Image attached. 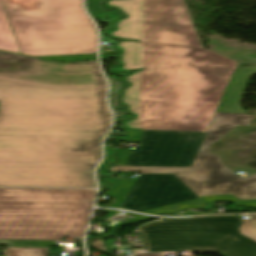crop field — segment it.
I'll list each match as a JSON object with an SVG mask.
<instances>
[{"instance_id": "obj_1", "label": "crop field", "mask_w": 256, "mask_h": 256, "mask_svg": "<svg viewBox=\"0 0 256 256\" xmlns=\"http://www.w3.org/2000/svg\"><path fill=\"white\" fill-rule=\"evenodd\" d=\"M105 91L97 61L0 52V154L101 155Z\"/></svg>"}, {"instance_id": "obj_2", "label": "crop field", "mask_w": 256, "mask_h": 256, "mask_svg": "<svg viewBox=\"0 0 256 256\" xmlns=\"http://www.w3.org/2000/svg\"><path fill=\"white\" fill-rule=\"evenodd\" d=\"M139 127L206 131L237 62L202 48L183 0H142Z\"/></svg>"}, {"instance_id": "obj_3", "label": "crop field", "mask_w": 256, "mask_h": 256, "mask_svg": "<svg viewBox=\"0 0 256 256\" xmlns=\"http://www.w3.org/2000/svg\"><path fill=\"white\" fill-rule=\"evenodd\" d=\"M95 190L0 189V239L83 236Z\"/></svg>"}, {"instance_id": "obj_4", "label": "crop field", "mask_w": 256, "mask_h": 256, "mask_svg": "<svg viewBox=\"0 0 256 256\" xmlns=\"http://www.w3.org/2000/svg\"><path fill=\"white\" fill-rule=\"evenodd\" d=\"M1 1L22 54L96 53V30L81 0H42L33 12H22L16 0Z\"/></svg>"}, {"instance_id": "obj_5", "label": "crop field", "mask_w": 256, "mask_h": 256, "mask_svg": "<svg viewBox=\"0 0 256 256\" xmlns=\"http://www.w3.org/2000/svg\"><path fill=\"white\" fill-rule=\"evenodd\" d=\"M138 232L146 251H219L225 256H256V216L165 219Z\"/></svg>"}, {"instance_id": "obj_6", "label": "crop field", "mask_w": 256, "mask_h": 256, "mask_svg": "<svg viewBox=\"0 0 256 256\" xmlns=\"http://www.w3.org/2000/svg\"><path fill=\"white\" fill-rule=\"evenodd\" d=\"M255 115L217 112L191 167L117 166L104 171H141L174 174L197 196L232 194L240 199L256 198V174L239 178L219 156L209 152L212 143L236 125L249 126Z\"/></svg>"}, {"instance_id": "obj_7", "label": "crop field", "mask_w": 256, "mask_h": 256, "mask_svg": "<svg viewBox=\"0 0 256 256\" xmlns=\"http://www.w3.org/2000/svg\"><path fill=\"white\" fill-rule=\"evenodd\" d=\"M100 157L0 155V187L92 188L90 173Z\"/></svg>"}, {"instance_id": "obj_8", "label": "crop field", "mask_w": 256, "mask_h": 256, "mask_svg": "<svg viewBox=\"0 0 256 256\" xmlns=\"http://www.w3.org/2000/svg\"><path fill=\"white\" fill-rule=\"evenodd\" d=\"M205 134L150 131L134 165L190 166Z\"/></svg>"}, {"instance_id": "obj_9", "label": "crop field", "mask_w": 256, "mask_h": 256, "mask_svg": "<svg viewBox=\"0 0 256 256\" xmlns=\"http://www.w3.org/2000/svg\"><path fill=\"white\" fill-rule=\"evenodd\" d=\"M197 196L174 175L140 174L122 209L141 212Z\"/></svg>"}, {"instance_id": "obj_10", "label": "crop field", "mask_w": 256, "mask_h": 256, "mask_svg": "<svg viewBox=\"0 0 256 256\" xmlns=\"http://www.w3.org/2000/svg\"><path fill=\"white\" fill-rule=\"evenodd\" d=\"M115 47L123 50V52L120 53V60L124 65L119 69H140L141 42L120 41ZM139 73L140 71L124 79V81L131 83V86L124 90L121 103L128 105V111L136 115L133 120L122 121V123L126 125V129H137L138 127Z\"/></svg>"}, {"instance_id": "obj_11", "label": "crop field", "mask_w": 256, "mask_h": 256, "mask_svg": "<svg viewBox=\"0 0 256 256\" xmlns=\"http://www.w3.org/2000/svg\"><path fill=\"white\" fill-rule=\"evenodd\" d=\"M104 6H115L128 16L116 24L118 30L107 32L113 38L139 41L141 0H110Z\"/></svg>"}, {"instance_id": "obj_12", "label": "crop field", "mask_w": 256, "mask_h": 256, "mask_svg": "<svg viewBox=\"0 0 256 256\" xmlns=\"http://www.w3.org/2000/svg\"><path fill=\"white\" fill-rule=\"evenodd\" d=\"M253 74H256V67L235 72L217 111L245 113L239 100L250 76Z\"/></svg>"}, {"instance_id": "obj_13", "label": "crop field", "mask_w": 256, "mask_h": 256, "mask_svg": "<svg viewBox=\"0 0 256 256\" xmlns=\"http://www.w3.org/2000/svg\"><path fill=\"white\" fill-rule=\"evenodd\" d=\"M126 131L129 132L127 135L128 140L126 142H139L138 150L116 149V156L118 157L117 160H119V162L112 165H133L143 144V141L148 133V131L143 130Z\"/></svg>"}, {"instance_id": "obj_14", "label": "crop field", "mask_w": 256, "mask_h": 256, "mask_svg": "<svg viewBox=\"0 0 256 256\" xmlns=\"http://www.w3.org/2000/svg\"><path fill=\"white\" fill-rule=\"evenodd\" d=\"M0 50L21 54L0 1Z\"/></svg>"}, {"instance_id": "obj_15", "label": "crop field", "mask_w": 256, "mask_h": 256, "mask_svg": "<svg viewBox=\"0 0 256 256\" xmlns=\"http://www.w3.org/2000/svg\"><path fill=\"white\" fill-rule=\"evenodd\" d=\"M203 204H205V202L202 201L200 198H197V199H193V200H189V201H185V202H181V203L145 211L143 213L159 214L161 212H173L176 210L185 209L187 207L199 208V207H202Z\"/></svg>"}, {"instance_id": "obj_16", "label": "crop field", "mask_w": 256, "mask_h": 256, "mask_svg": "<svg viewBox=\"0 0 256 256\" xmlns=\"http://www.w3.org/2000/svg\"><path fill=\"white\" fill-rule=\"evenodd\" d=\"M133 183L134 181H129V180H115V182L109 187L107 192L111 193L112 195L118 198V201L115 207L117 208L120 207L126 194L130 191L129 187L132 186Z\"/></svg>"}, {"instance_id": "obj_17", "label": "crop field", "mask_w": 256, "mask_h": 256, "mask_svg": "<svg viewBox=\"0 0 256 256\" xmlns=\"http://www.w3.org/2000/svg\"><path fill=\"white\" fill-rule=\"evenodd\" d=\"M102 0H86V9L89 12V14L96 20H103L100 18V15L103 13H109L111 14V17L113 19L119 17V13L116 10H112V12H106L99 8L98 3Z\"/></svg>"}, {"instance_id": "obj_18", "label": "crop field", "mask_w": 256, "mask_h": 256, "mask_svg": "<svg viewBox=\"0 0 256 256\" xmlns=\"http://www.w3.org/2000/svg\"><path fill=\"white\" fill-rule=\"evenodd\" d=\"M7 252L9 256H47V249L39 248H10Z\"/></svg>"}, {"instance_id": "obj_19", "label": "crop field", "mask_w": 256, "mask_h": 256, "mask_svg": "<svg viewBox=\"0 0 256 256\" xmlns=\"http://www.w3.org/2000/svg\"><path fill=\"white\" fill-rule=\"evenodd\" d=\"M206 203L220 201V200H232L235 205H251L256 206V199L251 200H239L232 195H222V196H206L200 197Z\"/></svg>"}, {"instance_id": "obj_20", "label": "crop field", "mask_w": 256, "mask_h": 256, "mask_svg": "<svg viewBox=\"0 0 256 256\" xmlns=\"http://www.w3.org/2000/svg\"><path fill=\"white\" fill-rule=\"evenodd\" d=\"M42 59L53 60L58 62H72V61H89L97 60L96 55H82V56H53V57H39Z\"/></svg>"}, {"instance_id": "obj_21", "label": "crop field", "mask_w": 256, "mask_h": 256, "mask_svg": "<svg viewBox=\"0 0 256 256\" xmlns=\"http://www.w3.org/2000/svg\"><path fill=\"white\" fill-rule=\"evenodd\" d=\"M23 11L37 10L41 0H17Z\"/></svg>"}, {"instance_id": "obj_22", "label": "crop field", "mask_w": 256, "mask_h": 256, "mask_svg": "<svg viewBox=\"0 0 256 256\" xmlns=\"http://www.w3.org/2000/svg\"><path fill=\"white\" fill-rule=\"evenodd\" d=\"M110 148V147H109ZM108 147H106V155H105V162L102 164L101 167H106V164L108 162L114 161V157L111 156V154L113 153L111 149H109ZM100 167V168H101Z\"/></svg>"}, {"instance_id": "obj_23", "label": "crop field", "mask_w": 256, "mask_h": 256, "mask_svg": "<svg viewBox=\"0 0 256 256\" xmlns=\"http://www.w3.org/2000/svg\"><path fill=\"white\" fill-rule=\"evenodd\" d=\"M94 245H95L96 247H98V248H100V249H102V250L108 252L107 249H106V247H105V245H104V243H103V241H97V242L94 243Z\"/></svg>"}, {"instance_id": "obj_24", "label": "crop field", "mask_w": 256, "mask_h": 256, "mask_svg": "<svg viewBox=\"0 0 256 256\" xmlns=\"http://www.w3.org/2000/svg\"><path fill=\"white\" fill-rule=\"evenodd\" d=\"M203 214H207V213H200V212H196V211H188V212H184L183 216L203 215Z\"/></svg>"}, {"instance_id": "obj_25", "label": "crop field", "mask_w": 256, "mask_h": 256, "mask_svg": "<svg viewBox=\"0 0 256 256\" xmlns=\"http://www.w3.org/2000/svg\"><path fill=\"white\" fill-rule=\"evenodd\" d=\"M134 256H162V253H153V254H136Z\"/></svg>"}, {"instance_id": "obj_26", "label": "crop field", "mask_w": 256, "mask_h": 256, "mask_svg": "<svg viewBox=\"0 0 256 256\" xmlns=\"http://www.w3.org/2000/svg\"><path fill=\"white\" fill-rule=\"evenodd\" d=\"M129 214H131V215H134V216L138 217V218H136V219H134V220L150 218V217H146V216H142V215H138V214H132V213H129ZM134 220H132V221H134ZM130 222H131V221H130Z\"/></svg>"}, {"instance_id": "obj_27", "label": "crop field", "mask_w": 256, "mask_h": 256, "mask_svg": "<svg viewBox=\"0 0 256 256\" xmlns=\"http://www.w3.org/2000/svg\"><path fill=\"white\" fill-rule=\"evenodd\" d=\"M118 211H107L105 213L115 215Z\"/></svg>"}]
</instances>
